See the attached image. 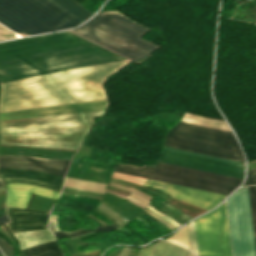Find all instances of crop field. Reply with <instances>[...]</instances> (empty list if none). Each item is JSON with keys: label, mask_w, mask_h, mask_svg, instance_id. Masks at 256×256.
<instances>
[{"label": "crop field", "mask_w": 256, "mask_h": 256, "mask_svg": "<svg viewBox=\"0 0 256 256\" xmlns=\"http://www.w3.org/2000/svg\"><path fill=\"white\" fill-rule=\"evenodd\" d=\"M96 45L66 31L0 43V82L124 59Z\"/></svg>", "instance_id": "crop-field-1"}, {"label": "crop field", "mask_w": 256, "mask_h": 256, "mask_svg": "<svg viewBox=\"0 0 256 256\" xmlns=\"http://www.w3.org/2000/svg\"><path fill=\"white\" fill-rule=\"evenodd\" d=\"M128 62H113L3 83L0 112L105 98L101 81Z\"/></svg>", "instance_id": "crop-field-2"}, {"label": "crop field", "mask_w": 256, "mask_h": 256, "mask_svg": "<svg viewBox=\"0 0 256 256\" xmlns=\"http://www.w3.org/2000/svg\"><path fill=\"white\" fill-rule=\"evenodd\" d=\"M148 30L149 28L114 10L99 12L86 24L71 31L137 61L159 48L156 44L139 38Z\"/></svg>", "instance_id": "crop-field-3"}, {"label": "crop field", "mask_w": 256, "mask_h": 256, "mask_svg": "<svg viewBox=\"0 0 256 256\" xmlns=\"http://www.w3.org/2000/svg\"><path fill=\"white\" fill-rule=\"evenodd\" d=\"M0 23L20 36H27L82 22L47 0H0Z\"/></svg>", "instance_id": "crop-field-4"}, {"label": "crop field", "mask_w": 256, "mask_h": 256, "mask_svg": "<svg viewBox=\"0 0 256 256\" xmlns=\"http://www.w3.org/2000/svg\"><path fill=\"white\" fill-rule=\"evenodd\" d=\"M114 171L225 195H228L242 181L241 178L162 162H159L155 168L146 165L139 168L117 163Z\"/></svg>", "instance_id": "crop-field-5"}, {"label": "crop field", "mask_w": 256, "mask_h": 256, "mask_svg": "<svg viewBox=\"0 0 256 256\" xmlns=\"http://www.w3.org/2000/svg\"><path fill=\"white\" fill-rule=\"evenodd\" d=\"M164 145L244 162L229 131L180 122L167 133Z\"/></svg>", "instance_id": "crop-field-6"}, {"label": "crop field", "mask_w": 256, "mask_h": 256, "mask_svg": "<svg viewBox=\"0 0 256 256\" xmlns=\"http://www.w3.org/2000/svg\"><path fill=\"white\" fill-rule=\"evenodd\" d=\"M234 256H256L247 186L227 198Z\"/></svg>", "instance_id": "crop-field-7"}, {"label": "crop field", "mask_w": 256, "mask_h": 256, "mask_svg": "<svg viewBox=\"0 0 256 256\" xmlns=\"http://www.w3.org/2000/svg\"><path fill=\"white\" fill-rule=\"evenodd\" d=\"M225 202L195 220L199 256H232Z\"/></svg>", "instance_id": "crop-field-8"}, {"label": "crop field", "mask_w": 256, "mask_h": 256, "mask_svg": "<svg viewBox=\"0 0 256 256\" xmlns=\"http://www.w3.org/2000/svg\"><path fill=\"white\" fill-rule=\"evenodd\" d=\"M101 111L0 122V132L90 128ZM104 113V112H103Z\"/></svg>", "instance_id": "crop-field-9"}, {"label": "crop field", "mask_w": 256, "mask_h": 256, "mask_svg": "<svg viewBox=\"0 0 256 256\" xmlns=\"http://www.w3.org/2000/svg\"><path fill=\"white\" fill-rule=\"evenodd\" d=\"M87 131L88 129L0 133V144L78 149Z\"/></svg>", "instance_id": "crop-field-10"}, {"label": "crop field", "mask_w": 256, "mask_h": 256, "mask_svg": "<svg viewBox=\"0 0 256 256\" xmlns=\"http://www.w3.org/2000/svg\"><path fill=\"white\" fill-rule=\"evenodd\" d=\"M164 148L244 165V163H242V162H237V161H233V160H228V159L218 158V157H214V156L194 153V152L175 149V148L166 147V146H164ZM165 149H163L162 156H161L162 162L202 169V170H206V171H211V172H216V173H221V174H226V175H231V176H236V177H241V178L244 177V166H242V165H237V164H232V163H228V162L203 158V157H199V156L179 153V152L165 150Z\"/></svg>", "instance_id": "crop-field-11"}, {"label": "crop field", "mask_w": 256, "mask_h": 256, "mask_svg": "<svg viewBox=\"0 0 256 256\" xmlns=\"http://www.w3.org/2000/svg\"><path fill=\"white\" fill-rule=\"evenodd\" d=\"M113 174L119 175V176H124V177H129V178H133V179H138V180H142V181L145 180L143 178L129 176V175L120 174V173H116V172H114ZM147 182L165 186V187L169 188L170 190L160 188V187H157L154 185H150ZM144 185L150 186V187L157 189L159 191H162L174 198L191 203L193 205L202 207L207 210H210L213 207H215L226 197L225 195H220V194H215V193H211V192L186 188V187H182V186L162 183V182L148 180V179L145 180Z\"/></svg>", "instance_id": "crop-field-12"}, {"label": "crop field", "mask_w": 256, "mask_h": 256, "mask_svg": "<svg viewBox=\"0 0 256 256\" xmlns=\"http://www.w3.org/2000/svg\"><path fill=\"white\" fill-rule=\"evenodd\" d=\"M0 176L5 183H24L59 192L64 178L62 175L25 169H0Z\"/></svg>", "instance_id": "crop-field-13"}, {"label": "crop field", "mask_w": 256, "mask_h": 256, "mask_svg": "<svg viewBox=\"0 0 256 256\" xmlns=\"http://www.w3.org/2000/svg\"><path fill=\"white\" fill-rule=\"evenodd\" d=\"M106 100L0 113V121L105 109Z\"/></svg>", "instance_id": "crop-field-14"}, {"label": "crop field", "mask_w": 256, "mask_h": 256, "mask_svg": "<svg viewBox=\"0 0 256 256\" xmlns=\"http://www.w3.org/2000/svg\"><path fill=\"white\" fill-rule=\"evenodd\" d=\"M69 162L24 156H0V168H25L62 175H64Z\"/></svg>", "instance_id": "crop-field-15"}, {"label": "crop field", "mask_w": 256, "mask_h": 256, "mask_svg": "<svg viewBox=\"0 0 256 256\" xmlns=\"http://www.w3.org/2000/svg\"><path fill=\"white\" fill-rule=\"evenodd\" d=\"M12 232L47 228L49 213L6 207Z\"/></svg>", "instance_id": "crop-field-16"}, {"label": "crop field", "mask_w": 256, "mask_h": 256, "mask_svg": "<svg viewBox=\"0 0 256 256\" xmlns=\"http://www.w3.org/2000/svg\"><path fill=\"white\" fill-rule=\"evenodd\" d=\"M8 188V198L6 206L16 208H26L27 202L33 192L35 194L51 197L57 199L59 193L30 186L24 184H6Z\"/></svg>", "instance_id": "crop-field-17"}, {"label": "crop field", "mask_w": 256, "mask_h": 256, "mask_svg": "<svg viewBox=\"0 0 256 256\" xmlns=\"http://www.w3.org/2000/svg\"><path fill=\"white\" fill-rule=\"evenodd\" d=\"M14 234L20 240V247L22 249L55 240L48 229L17 232Z\"/></svg>", "instance_id": "crop-field-18"}, {"label": "crop field", "mask_w": 256, "mask_h": 256, "mask_svg": "<svg viewBox=\"0 0 256 256\" xmlns=\"http://www.w3.org/2000/svg\"><path fill=\"white\" fill-rule=\"evenodd\" d=\"M61 9L65 10L80 21L86 20L92 14L73 0H49Z\"/></svg>", "instance_id": "crop-field-19"}, {"label": "crop field", "mask_w": 256, "mask_h": 256, "mask_svg": "<svg viewBox=\"0 0 256 256\" xmlns=\"http://www.w3.org/2000/svg\"><path fill=\"white\" fill-rule=\"evenodd\" d=\"M107 184L66 177L64 186L104 194Z\"/></svg>", "instance_id": "crop-field-20"}, {"label": "crop field", "mask_w": 256, "mask_h": 256, "mask_svg": "<svg viewBox=\"0 0 256 256\" xmlns=\"http://www.w3.org/2000/svg\"><path fill=\"white\" fill-rule=\"evenodd\" d=\"M26 256H62L56 242H50L23 250Z\"/></svg>", "instance_id": "crop-field-21"}, {"label": "crop field", "mask_w": 256, "mask_h": 256, "mask_svg": "<svg viewBox=\"0 0 256 256\" xmlns=\"http://www.w3.org/2000/svg\"><path fill=\"white\" fill-rule=\"evenodd\" d=\"M185 249L164 241L158 242L151 256H183Z\"/></svg>", "instance_id": "crop-field-22"}, {"label": "crop field", "mask_w": 256, "mask_h": 256, "mask_svg": "<svg viewBox=\"0 0 256 256\" xmlns=\"http://www.w3.org/2000/svg\"><path fill=\"white\" fill-rule=\"evenodd\" d=\"M182 121L230 131L225 121L211 120V119L203 118V117L192 115V114L186 113Z\"/></svg>", "instance_id": "crop-field-23"}, {"label": "crop field", "mask_w": 256, "mask_h": 256, "mask_svg": "<svg viewBox=\"0 0 256 256\" xmlns=\"http://www.w3.org/2000/svg\"><path fill=\"white\" fill-rule=\"evenodd\" d=\"M62 244L66 245L69 250V256H100L101 253L99 250L92 251V252H79L76 253V245L82 244H97L79 240H63Z\"/></svg>", "instance_id": "crop-field-24"}, {"label": "crop field", "mask_w": 256, "mask_h": 256, "mask_svg": "<svg viewBox=\"0 0 256 256\" xmlns=\"http://www.w3.org/2000/svg\"><path fill=\"white\" fill-rule=\"evenodd\" d=\"M113 228H117V227L111 224L106 226H100V227H97V229H90V230L79 229L73 232L56 231L54 232V234L57 237V239H60V238L69 237V236H77V235L91 232V231H104V230L113 229Z\"/></svg>", "instance_id": "crop-field-25"}, {"label": "crop field", "mask_w": 256, "mask_h": 256, "mask_svg": "<svg viewBox=\"0 0 256 256\" xmlns=\"http://www.w3.org/2000/svg\"><path fill=\"white\" fill-rule=\"evenodd\" d=\"M248 187H249V193H250L251 209H252L254 232H255V239H256V185L248 186Z\"/></svg>", "instance_id": "crop-field-26"}, {"label": "crop field", "mask_w": 256, "mask_h": 256, "mask_svg": "<svg viewBox=\"0 0 256 256\" xmlns=\"http://www.w3.org/2000/svg\"><path fill=\"white\" fill-rule=\"evenodd\" d=\"M146 208H148L150 211H152L154 214H156L157 216L163 218L164 220H166L168 223H170L171 225H173L175 228L178 227L180 224H178L177 222H175L173 219H171L170 217L160 213L158 210H156L155 208H153L152 206H147Z\"/></svg>", "instance_id": "crop-field-27"}, {"label": "crop field", "mask_w": 256, "mask_h": 256, "mask_svg": "<svg viewBox=\"0 0 256 256\" xmlns=\"http://www.w3.org/2000/svg\"><path fill=\"white\" fill-rule=\"evenodd\" d=\"M0 248L2 249V251L6 256H11L14 254V250L12 246L1 238H0Z\"/></svg>", "instance_id": "crop-field-28"}, {"label": "crop field", "mask_w": 256, "mask_h": 256, "mask_svg": "<svg viewBox=\"0 0 256 256\" xmlns=\"http://www.w3.org/2000/svg\"><path fill=\"white\" fill-rule=\"evenodd\" d=\"M14 37H16L15 33L0 25V40Z\"/></svg>", "instance_id": "crop-field-29"}, {"label": "crop field", "mask_w": 256, "mask_h": 256, "mask_svg": "<svg viewBox=\"0 0 256 256\" xmlns=\"http://www.w3.org/2000/svg\"><path fill=\"white\" fill-rule=\"evenodd\" d=\"M254 184H256V168L248 172L247 181L245 183V185H254Z\"/></svg>", "instance_id": "crop-field-30"}, {"label": "crop field", "mask_w": 256, "mask_h": 256, "mask_svg": "<svg viewBox=\"0 0 256 256\" xmlns=\"http://www.w3.org/2000/svg\"><path fill=\"white\" fill-rule=\"evenodd\" d=\"M112 183V182H111ZM113 184H115V183H113ZM113 184H110L111 186H113V187H117V188H121V189H125V190H129V191H131V192H133V193H135V194H137V195H139V196H141V197H143V198H145V199H147V200H151V199H149V198H151V197H149V196H147V195H145V194H143V193H141V192H139V191H137V190H135V191H137V192H139V193H141V194H143V195H145V196H147V197H149V198H147V197H145V196H143V195H141V194H139V193H137V192H135V191H133V190H130V189H132V188H130V189H127V188H124V187H121V186H117V185H113Z\"/></svg>", "instance_id": "crop-field-31"}, {"label": "crop field", "mask_w": 256, "mask_h": 256, "mask_svg": "<svg viewBox=\"0 0 256 256\" xmlns=\"http://www.w3.org/2000/svg\"><path fill=\"white\" fill-rule=\"evenodd\" d=\"M130 199L140 203L143 206H146L148 204V201H146V200H144V199H142V198H140V197H138V196H136L134 194H133V196Z\"/></svg>", "instance_id": "crop-field-32"}, {"label": "crop field", "mask_w": 256, "mask_h": 256, "mask_svg": "<svg viewBox=\"0 0 256 256\" xmlns=\"http://www.w3.org/2000/svg\"><path fill=\"white\" fill-rule=\"evenodd\" d=\"M154 246H155V245H154ZM154 246H151V247H149V248H147V249H145V250H142V251L140 252L139 256H150V254H151V252H152Z\"/></svg>", "instance_id": "crop-field-33"}, {"label": "crop field", "mask_w": 256, "mask_h": 256, "mask_svg": "<svg viewBox=\"0 0 256 256\" xmlns=\"http://www.w3.org/2000/svg\"><path fill=\"white\" fill-rule=\"evenodd\" d=\"M147 213H149L150 215H152L153 217H155L156 219H158L159 221H161L163 224H165L166 226H168L170 229H175L174 227H172L170 224H168L167 222L163 221L162 219H160L159 217H157L156 215H154L153 213L149 212L148 210H144Z\"/></svg>", "instance_id": "crop-field-34"}, {"label": "crop field", "mask_w": 256, "mask_h": 256, "mask_svg": "<svg viewBox=\"0 0 256 256\" xmlns=\"http://www.w3.org/2000/svg\"><path fill=\"white\" fill-rule=\"evenodd\" d=\"M8 221H9V219H8V217H7L6 214L0 216V224L5 223V222H8Z\"/></svg>", "instance_id": "crop-field-35"}, {"label": "crop field", "mask_w": 256, "mask_h": 256, "mask_svg": "<svg viewBox=\"0 0 256 256\" xmlns=\"http://www.w3.org/2000/svg\"><path fill=\"white\" fill-rule=\"evenodd\" d=\"M127 248H124L123 250H122V252L119 254V256H123V254H124V252H125V250H126ZM129 249L130 248H128L127 249V251H126V253H125V255L124 256H126L127 255V253H128V251H129Z\"/></svg>", "instance_id": "crop-field-36"}, {"label": "crop field", "mask_w": 256, "mask_h": 256, "mask_svg": "<svg viewBox=\"0 0 256 256\" xmlns=\"http://www.w3.org/2000/svg\"><path fill=\"white\" fill-rule=\"evenodd\" d=\"M99 207H100V206H99ZM101 208H102V207H101ZM99 209H100V208H99ZM103 209H104V208H103ZM103 209H101V210H103ZM105 210H106V209H105ZM103 211H104V210H103ZM106 211H108V210H106ZM106 211H105V212H106ZM108 212H109V211H108ZM108 212H107V213H108ZM110 213H111V212H110ZM108 214H109V213H108ZM111 214H112V213H111ZM111 214H110V215H111ZM112 215H114V214H112ZM112 215H111V216H112ZM114 216H115V215H114ZM115 217H117V216H115ZM115 217H114V218H115ZM117 218H118V217H117ZM115 219H116V218H115ZM119 219H120V218H119ZM117 220H118V219H117ZM118 221H120V220H118ZM122 221H123V220H122ZM122 221H120V222L123 223L124 221H123V222H122ZM124 223H126V222H124ZM124 223H123V224H124Z\"/></svg>", "instance_id": "crop-field-37"}, {"label": "crop field", "mask_w": 256, "mask_h": 256, "mask_svg": "<svg viewBox=\"0 0 256 256\" xmlns=\"http://www.w3.org/2000/svg\"><path fill=\"white\" fill-rule=\"evenodd\" d=\"M108 192H110V193H112V194H115V193H113V192H111V191H108ZM115 195H117V194H115ZM120 196V195H119ZM122 197V196H121ZM123 198H125V197H123ZM125 199H127V198H125ZM127 200H129V199H127ZM129 201H131V200H129ZM131 202H133V201H131ZM133 203H135V202H133ZM135 204H137V203H135ZM137 205H139V204H137ZM139 206H141V205H139ZM142 208H145V207H143V206H141Z\"/></svg>", "instance_id": "crop-field-38"}, {"label": "crop field", "mask_w": 256, "mask_h": 256, "mask_svg": "<svg viewBox=\"0 0 256 256\" xmlns=\"http://www.w3.org/2000/svg\"><path fill=\"white\" fill-rule=\"evenodd\" d=\"M2 186H4V185H3V183H2V181H1V179H0V187H2Z\"/></svg>", "instance_id": "crop-field-39"}, {"label": "crop field", "mask_w": 256, "mask_h": 256, "mask_svg": "<svg viewBox=\"0 0 256 256\" xmlns=\"http://www.w3.org/2000/svg\"><path fill=\"white\" fill-rule=\"evenodd\" d=\"M189 253V251H187V253H186V255L185 256H187V254Z\"/></svg>", "instance_id": "crop-field-40"}, {"label": "crop field", "mask_w": 256, "mask_h": 256, "mask_svg": "<svg viewBox=\"0 0 256 256\" xmlns=\"http://www.w3.org/2000/svg\"><path fill=\"white\" fill-rule=\"evenodd\" d=\"M1 254V253H0Z\"/></svg>", "instance_id": "crop-field-41"}]
</instances>
